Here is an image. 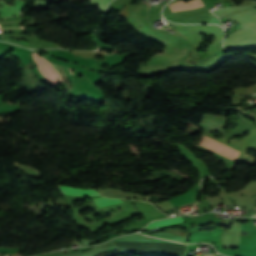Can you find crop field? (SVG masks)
Masks as SVG:
<instances>
[{
	"label": "crop field",
	"mask_w": 256,
	"mask_h": 256,
	"mask_svg": "<svg viewBox=\"0 0 256 256\" xmlns=\"http://www.w3.org/2000/svg\"><path fill=\"white\" fill-rule=\"evenodd\" d=\"M34 60L38 65V69L41 74L45 76V78L50 81L52 84L60 85L56 78H59L61 82H63L61 76L58 72L52 67L51 63L40 57L38 54H32Z\"/></svg>",
	"instance_id": "crop-field-1"
},
{
	"label": "crop field",
	"mask_w": 256,
	"mask_h": 256,
	"mask_svg": "<svg viewBox=\"0 0 256 256\" xmlns=\"http://www.w3.org/2000/svg\"><path fill=\"white\" fill-rule=\"evenodd\" d=\"M201 145L233 160V161H236L237 157H238V154L239 152L232 149V148H229L207 136H204L203 138V141L201 143Z\"/></svg>",
	"instance_id": "crop-field-2"
},
{
	"label": "crop field",
	"mask_w": 256,
	"mask_h": 256,
	"mask_svg": "<svg viewBox=\"0 0 256 256\" xmlns=\"http://www.w3.org/2000/svg\"><path fill=\"white\" fill-rule=\"evenodd\" d=\"M0 3L4 5L3 8H0V18L10 15H19V11L25 6L24 1L22 0H16L14 6H8L4 1H0Z\"/></svg>",
	"instance_id": "crop-field-3"
},
{
	"label": "crop field",
	"mask_w": 256,
	"mask_h": 256,
	"mask_svg": "<svg viewBox=\"0 0 256 256\" xmlns=\"http://www.w3.org/2000/svg\"><path fill=\"white\" fill-rule=\"evenodd\" d=\"M169 6L172 12H176V11L189 10L197 7H203L204 4L201 2V0H191L186 3H183V1L176 2Z\"/></svg>",
	"instance_id": "crop-field-4"
},
{
	"label": "crop field",
	"mask_w": 256,
	"mask_h": 256,
	"mask_svg": "<svg viewBox=\"0 0 256 256\" xmlns=\"http://www.w3.org/2000/svg\"><path fill=\"white\" fill-rule=\"evenodd\" d=\"M59 189L62 190L63 194H68V195H78V196L100 195L95 190H80V189H73V188L64 187V186H59Z\"/></svg>",
	"instance_id": "crop-field-5"
},
{
	"label": "crop field",
	"mask_w": 256,
	"mask_h": 256,
	"mask_svg": "<svg viewBox=\"0 0 256 256\" xmlns=\"http://www.w3.org/2000/svg\"><path fill=\"white\" fill-rule=\"evenodd\" d=\"M98 207L109 206L117 203H121L120 199L98 198L94 200Z\"/></svg>",
	"instance_id": "crop-field-6"
},
{
	"label": "crop field",
	"mask_w": 256,
	"mask_h": 256,
	"mask_svg": "<svg viewBox=\"0 0 256 256\" xmlns=\"http://www.w3.org/2000/svg\"><path fill=\"white\" fill-rule=\"evenodd\" d=\"M182 221H183L182 217H177V218H173V219H169L161 222L151 223L146 229L156 227V226L173 224V223L182 222Z\"/></svg>",
	"instance_id": "crop-field-7"
},
{
	"label": "crop field",
	"mask_w": 256,
	"mask_h": 256,
	"mask_svg": "<svg viewBox=\"0 0 256 256\" xmlns=\"http://www.w3.org/2000/svg\"><path fill=\"white\" fill-rule=\"evenodd\" d=\"M95 5L103 10V8L108 4L111 0H91Z\"/></svg>",
	"instance_id": "crop-field-8"
},
{
	"label": "crop field",
	"mask_w": 256,
	"mask_h": 256,
	"mask_svg": "<svg viewBox=\"0 0 256 256\" xmlns=\"http://www.w3.org/2000/svg\"><path fill=\"white\" fill-rule=\"evenodd\" d=\"M57 70H58V72L62 75V77L65 79V81L67 82V84L69 85V89H72L71 88V86H70V84L68 83V79H67V77H66V75H65V73H64V71H63V68L62 67H60V66H55V65H53Z\"/></svg>",
	"instance_id": "crop-field-9"
},
{
	"label": "crop field",
	"mask_w": 256,
	"mask_h": 256,
	"mask_svg": "<svg viewBox=\"0 0 256 256\" xmlns=\"http://www.w3.org/2000/svg\"><path fill=\"white\" fill-rule=\"evenodd\" d=\"M15 111H20L19 108H15Z\"/></svg>",
	"instance_id": "crop-field-10"
},
{
	"label": "crop field",
	"mask_w": 256,
	"mask_h": 256,
	"mask_svg": "<svg viewBox=\"0 0 256 256\" xmlns=\"http://www.w3.org/2000/svg\"><path fill=\"white\" fill-rule=\"evenodd\" d=\"M69 70H70V72H72L71 69H69Z\"/></svg>",
	"instance_id": "crop-field-11"
}]
</instances>
